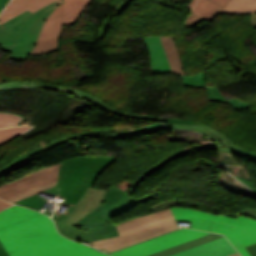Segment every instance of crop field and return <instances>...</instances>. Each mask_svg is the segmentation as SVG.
<instances>
[{
  "label": "crop field",
  "mask_w": 256,
  "mask_h": 256,
  "mask_svg": "<svg viewBox=\"0 0 256 256\" xmlns=\"http://www.w3.org/2000/svg\"><path fill=\"white\" fill-rule=\"evenodd\" d=\"M164 128H165V126H163L162 124L156 123V124H150L145 127L138 128V129H134V130H130V131H123V132H116V133L124 134V135H136V134H145V133H149V132L164 129Z\"/></svg>",
  "instance_id": "d3111659"
},
{
  "label": "crop field",
  "mask_w": 256,
  "mask_h": 256,
  "mask_svg": "<svg viewBox=\"0 0 256 256\" xmlns=\"http://www.w3.org/2000/svg\"><path fill=\"white\" fill-rule=\"evenodd\" d=\"M208 233L210 232L183 228L173 233L115 252L110 255L112 256H146L151 253L206 235Z\"/></svg>",
  "instance_id": "d8731c3e"
},
{
  "label": "crop field",
  "mask_w": 256,
  "mask_h": 256,
  "mask_svg": "<svg viewBox=\"0 0 256 256\" xmlns=\"http://www.w3.org/2000/svg\"><path fill=\"white\" fill-rule=\"evenodd\" d=\"M222 9L223 8L218 5L206 18L200 16L199 14H197L196 12H194L192 10L187 19L186 25L193 27V26L199 24L204 19L211 21L218 13L221 12Z\"/></svg>",
  "instance_id": "eef30255"
},
{
  "label": "crop field",
  "mask_w": 256,
  "mask_h": 256,
  "mask_svg": "<svg viewBox=\"0 0 256 256\" xmlns=\"http://www.w3.org/2000/svg\"><path fill=\"white\" fill-rule=\"evenodd\" d=\"M9 0H0V11L6 6Z\"/></svg>",
  "instance_id": "b80d0937"
},
{
  "label": "crop field",
  "mask_w": 256,
  "mask_h": 256,
  "mask_svg": "<svg viewBox=\"0 0 256 256\" xmlns=\"http://www.w3.org/2000/svg\"><path fill=\"white\" fill-rule=\"evenodd\" d=\"M11 1H14V0H11ZM11 1H10V2H11Z\"/></svg>",
  "instance_id": "5d738f31"
},
{
  "label": "crop field",
  "mask_w": 256,
  "mask_h": 256,
  "mask_svg": "<svg viewBox=\"0 0 256 256\" xmlns=\"http://www.w3.org/2000/svg\"><path fill=\"white\" fill-rule=\"evenodd\" d=\"M240 153L243 155V157L256 161V153L255 152H251V151H248V150L242 148Z\"/></svg>",
  "instance_id": "120bbe31"
},
{
  "label": "crop field",
  "mask_w": 256,
  "mask_h": 256,
  "mask_svg": "<svg viewBox=\"0 0 256 256\" xmlns=\"http://www.w3.org/2000/svg\"><path fill=\"white\" fill-rule=\"evenodd\" d=\"M195 1H196V0H192V2L188 5V7H187V8L192 9V7H193V6H194V4H195Z\"/></svg>",
  "instance_id": "03da06ac"
},
{
  "label": "crop field",
  "mask_w": 256,
  "mask_h": 256,
  "mask_svg": "<svg viewBox=\"0 0 256 256\" xmlns=\"http://www.w3.org/2000/svg\"><path fill=\"white\" fill-rule=\"evenodd\" d=\"M105 192L106 190L88 188L79 203L77 205L71 204L67 210L66 214L71 216L68 224L73 226L80 218L85 217L93 209L101 206Z\"/></svg>",
  "instance_id": "cbeb9de0"
},
{
  "label": "crop field",
  "mask_w": 256,
  "mask_h": 256,
  "mask_svg": "<svg viewBox=\"0 0 256 256\" xmlns=\"http://www.w3.org/2000/svg\"><path fill=\"white\" fill-rule=\"evenodd\" d=\"M120 236L91 242L106 253L177 230L170 208L138 216L116 225Z\"/></svg>",
  "instance_id": "ac0d7876"
},
{
  "label": "crop field",
  "mask_w": 256,
  "mask_h": 256,
  "mask_svg": "<svg viewBox=\"0 0 256 256\" xmlns=\"http://www.w3.org/2000/svg\"><path fill=\"white\" fill-rule=\"evenodd\" d=\"M171 209L175 220L192 221L193 229L225 234L242 256H251L244 247L256 243L255 219L240 215L233 219L178 207Z\"/></svg>",
  "instance_id": "8a807250"
},
{
  "label": "crop field",
  "mask_w": 256,
  "mask_h": 256,
  "mask_svg": "<svg viewBox=\"0 0 256 256\" xmlns=\"http://www.w3.org/2000/svg\"><path fill=\"white\" fill-rule=\"evenodd\" d=\"M160 38L167 53L172 73L185 75L174 39H171V36H160Z\"/></svg>",
  "instance_id": "bc2a9ffb"
},
{
  "label": "crop field",
  "mask_w": 256,
  "mask_h": 256,
  "mask_svg": "<svg viewBox=\"0 0 256 256\" xmlns=\"http://www.w3.org/2000/svg\"><path fill=\"white\" fill-rule=\"evenodd\" d=\"M65 142L66 141H65L64 137L61 138V139H58V140L50 141V142L47 141L43 145H40V146L34 148L31 151L21 154L16 159H14L12 162H10L9 164L5 165L4 167H2L0 169V176L8 173L9 169L15 167L16 165L21 163L23 160H25V159H27V158H29V157L37 154V153L44 152V151H46L48 149H51V148H53V147H55L57 145L63 144Z\"/></svg>",
  "instance_id": "214f88e0"
},
{
  "label": "crop field",
  "mask_w": 256,
  "mask_h": 256,
  "mask_svg": "<svg viewBox=\"0 0 256 256\" xmlns=\"http://www.w3.org/2000/svg\"><path fill=\"white\" fill-rule=\"evenodd\" d=\"M43 192L56 195V186L51 189L45 190ZM40 193H37L31 197L22 199L20 201L14 202V203L22 205V206H27L29 208L37 209L40 211L41 207L44 205V203L47 200V199H44L43 197L39 196Z\"/></svg>",
  "instance_id": "a9b5d70f"
},
{
  "label": "crop field",
  "mask_w": 256,
  "mask_h": 256,
  "mask_svg": "<svg viewBox=\"0 0 256 256\" xmlns=\"http://www.w3.org/2000/svg\"><path fill=\"white\" fill-rule=\"evenodd\" d=\"M217 4H219L220 6H222L223 8L225 7V5L228 3L229 0H211Z\"/></svg>",
  "instance_id": "e1f06a70"
},
{
  "label": "crop field",
  "mask_w": 256,
  "mask_h": 256,
  "mask_svg": "<svg viewBox=\"0 0 256 256\" xmlns=\"http://www.w3.org/2000/svg\"><path fill=\"white\" fill-rule=\"evenodd\" d=\"M216 6L217 4L209 0H198L193 10L206 17Z\"/></svg>",
  "instance_id": "750c4746"
},
{
  "label": "crop field",
  "mask_w": 256,
  "mask_h": 256,
  "mask_svg": "<svg viewBox=\"0 0 256 256\" xmlns=\"http://www.w3.org/2000/svg\"><path fill=\"white\" fill-rule=\"evenodd\" d=\"M162 122L168 128L193 130L209 137L212 140V144L203 148H199V150L218 149L226 153H234L236 155L242 156L239 153L241 147L234 145L226 136L219 133L220 131L218 132L217 130L212 129L206 125L194 121L176 120L170 118H162ZM219 138H221L222 142H224L227 147H222V145L218 142Z\"/></svg>",
  "instance_id": "3316defc"
},
{
  "label": "crop field",
  "mask_w": 256,
  "mask_h": 256,
  "mask_svg": "<svg viewBox=\"0 0 256 256\" xmlns=\"http://www.w3.org/2000/svg\"><path fill=\"white\" fill-rule=\"evenodd\" d=\"M0 256H9L4 247L0 248Z\"/></svg>",
  "instance_id": "c035e120"
},
{
  "label": "crop field",
  "mask_w": 256,
  "mask_h": 256,
  "mask_svg": "<svg viewBox=\"0 0 256 256\" xmlns=\"http://www.w3.org/2000/svg\"><path fill=\"white\" fill-rule=\"evenodd\" d=\"M240 256L225 237L173 256Z\"/></svg>",
  "instance_id": "5142ce71"
},
{
  "label": "crop field",
  "mask_w": 256,
  "mask_h": 256,
  "mask_svg": "<svg viewBox=\"0 0 256 256\" xmlns=\"http://www.w3.org/2000/svg\"><path fill=\"white\" fill-rule=\"evenodd\" d=\"M252 256H256V244L246 247Z\"/></svg>",
  "instance_id": "5866460e"
},
{
  "label": "crop field",
  "mask_w": 256,
  "mask_h": 256,
  "mask_svg": "<svg viewBox=\"0 0 256 256\" xmlns=\"http://www.w3.org/2000/svg\"><path fill=\"white\" fill-rule=\"evenodd\" d=\"M118 157H75L62 161L57 183V195L65 202L77 204L94 180Z\"/></svg>",
  "instance_id": "412701ff"
},
{
  "label": "crop field",
  "mask_w": 256,
  "mask_h": 256,
  "mask_svg": "<svg viewBox=\"0 0 256 256\" xmlns=\"http://www.w3.org/2000/svg\"><path fill=\"white\" fill-rule=\"evenodd\" d=\"M241 213L246 214V215H250V216H253V217H256V210H254V209H245Z\"/></svg>",
  "instance_id": "028f5c9d"
},
{
  "label": "crop field",
  "mask_w": 256,
  "mask_h": 256,
  "mask_svg": "<svg viewBox=\"0 0 256 256\" xmlns=\"http://www.w3.org/2000/svg\"><path fill=\"white\" fill-rule=\"evenodd\" d=\"M14 87H32V88L60 91V92H63V93L69 94V95H73V96L85 99L86 101L96 104L99 107H102L118 116L128 117V118H137V119H146L149 121H161V118H158V117H153V116H149V115L124 113V112L117 111V110L113 109L111 106L105 104L102 100H100L92 95H89L83 91H80L78 89H70V88H65V87L56 86V85H49V84H42V83H30V82H11V83H6V84L0 85V89L14 88Z\"/></svg>",
  "instance_id": "d1516ede"
},
{
  "label": "crop field",
  "mask_w": 256,
  "mask_h": 256,
  "mask_svg": "<svg viewBox=\"0 0 256 256\" xmlns=\"http://www.w3.org/2000/svg\"><path fill=\"white\" fill-rule=\"evenodd\" d=\"M53 1L55 0H16L6 6L0 16V24L27 10L34 13Z\"/></svg>",
  "instance_id": "4a817a6b"
},
{
  "label": "crop field",
  "mask_w": 256,
  "mask_h": 256,
  "mask_svg": "<svg viewBox=\"0 0 256 256\" xmlns=\"http://www.w3.org/2000/svg\"><path fill=\"white\" fill-rule=\"evenodd\" d=\"M0 247H2V244H1V242H0Z\"/></svg>",
  "instance_id": "b54c1fbb"
},
{
  "label": "crop field",
  "mask_w": 256,
  "mask_h": 256,
  "mask_svg": "<svg viewBox=\"0 0 256 256\" xmlns=\"http://www.w3.org/2000/svg\"><path fill=\"white\" fill-rule=\"evenodd\" d=\"M143 39L150 55L152 75L171 73L159 36L143 37Z\"/></svg>",
  "instance_id": "d9b57169"
},
{
  "label": "crop field",
  "mask_w": 256,
  "mask_h": 256,
  "mask_svg": "<svg viewBox=\"0 0 256 256\" xmlns=\"http://www.w3.org/2000/svg\"><path fill=\"white\" fill-rule=\"evenodd\" d=\"M30 234H58L53 222L34 210L12 206L0 212V241Z\"/></svg>",
  "instance_id": "dd49c442"
},
{
  "label": "crop field",
  "mask_w": 256,
  "mask_h": 256,
  "mask_svg": "<svg viewBox=\"0 0 256 256\" xmlns=\"http://www.w3.org/2000/svg\"><path fill=\"white\" fill-rule=\"evenodd\" d=\"M24 117L14 113L0 111V127L16 126L22 122Z\"/></svg>",
  "instance_id": "ae1a2a85"
},
{
  "label": "crop field",
  "mask_w": 256,
  "mask_h": 256,
  "mask_svg": "<svg viewBox=\"0 0 256 256\" xmlns=\"http://www.w3.org/2000/svg\"><path fill=\"white\" fill-rule=\"evenodd\" d=\"M185 86L207 88L210 100L230 103L235 110H241L250 107L249 103L236 99L226 100L222 93L216 87L206 86L204 72L182 77Z\"/></svg>",
  "instance_id": "733c2abd"
},
{
  "label": "crop field",
  "mask_w": 256,
  "mask_h": 256,
  "mask_svg": "<svg viewBox=\"0 0 256 256\" xmlns=\"http://www.w3.org/2000/svg\"><path fill=\"white\" fill-rule=\"evenodd\" d=\"M2 243L10 256H108L59 235H31Z\"/></svg>",
  "instance_id": "f4fd0767"
},
{
  "label": "crop field",
  "mask_w": 256,
  "mask_h": 256,
  "mask_svg": "<svg viewBox=\"0 0 256 256\" xmlns=\"http://www.w3.org/2000/svg\"><path fill=\"white\" fill-rule=\"evenodd\" d=\"M182 154H187L184 150H179L171 155H169L168 157H166L165 159H163L161 162H159L157 165L151 167L150 169H148L147 171H145L137 180H135L132 184V189H135V187L138 185V183L145 178L146 176H148L150 173L160 169L161 167H163L165 164H167L169 161H171L172 159H174L177 156H180Z\"/></svg>",
  "instance_id": "730fd06b"
},
{
  "label": "crop field",
  "mask_w": 256,
  "mask_h": 256,
  "mask_svg": "<svg viewBox=\"0 0 256 256\" xmlns=\"http://www.w3.org/2000/svg\"><path fill=\"white\" fill-rule=\"evenodd\" d=\"M256 13V0H230L220 14Z\"/></svg>",
  "instance_id": "00972430"
},
{
  "label": "crop field",
  "mask_w": 256,
  "mask_h": 256,
  "mask_svg": "<svg viewBox=\"0 0 256 256\" xmlns=\"http://www.w3.org/2000/svg\"><path fill=\"white\" fill-rule=\"evenodd\" d=\"M59 164L30 173L18 180L0 186V197L8 200L38 186L56 180Z\"/></svg>",
  "instance_id": "5a996713"
},
{
  "label": "crop field",
  "mask_w": 256,
  "mask_h": 256,
  "mask_svg": "<svg viewBox=\"0 0 256 256\" xmlns=\"http://www.w3.org/2000/svg\"><path fill=\"white\" fill-rule=\"evenodd\" d=\"M10 205H12V204H9V203H6V202L0 200V210L4 209Z\"/></svg>",
  "instance_id": "0bd39190"
},
{
  "label": "crop field",
  "mask_w": 256,
  "mask_h": 256,
  "mask_svg": "<svg viewBox=\"0 0 256 256\" xmlns=\"http://www.w3.org/2000/svg\"><path fill=\"white\" fill-rule=\"evenodd\" d=\"M56 182H57V180L54 181V182L48 183V184H46V185H43V186H41V187H39V188H37V189H35V190H33V191H30V192H28V193H25V194H23V195L14 197V198H12V199H10V200H8V201L14 202V201L20 200V199H22V198L31 196V195H33V194H35V193H37V192H40V191H43V190H45V189H48V188H51V187L55 186V185H56Z\"/></svg>",
  "instance_id": "bd1437ed"
},
{
  "label": "crop field",
  "mask_w": 256,
  "mask_h": 256,
  "mask_svg": "<svg viewBox=\"0 0 256 256\" xmlns=\"http://www.w3.org/2000/svg\"><path fill=\"white\" fill-rule=\"evenodd\" d=\"M234 177H236L238 180H240L241 182H243L244 184L249 186L256 193V187L251 182H249L243 178H239L238 176H234Z\"/></svg>",
  "instance_id": "d32e631a"
},
{
  "label": "crop field",
  "mask_w": 256,
  "mask_h": 256,
  "mask_svg": "<svg viewBox=\"0 0 256 256\" xmlns=\"http://www.w3.org/2000/svg\"><path fill=\"white\" fill-rule=\"evenodd\" d=\"M52 218L54 219V221H57L56 226L62 235L77 241H85L89 243V241L104 239L118 235L115 229V225L100 228L83 227L81 230H79L67 225L69 216L63 213L55 211Z\"/></svg>",
  "instance_id": "22f410ed"
},
{
  "label": "crop field",
  "mask_w": 256,
  "mask_h": 256,
  "mask_svg": "<svg viewBox=\"0 0 256 256\" xmlns=\"http://www.w3.org/2000/svg\"><path fill=\"white\" fill-rule=\"evenodd\" d=\"M115 13H116V12L113 11L112 13H110V14L104 19V21L102 22V24H101L100 27H99L97 38H101V39H104V38H105L106 33H107V29H108V26H109L110 19L112 18V16H113Z\"/></svg>",
  "instance_id": "1d83c4d3"
},
{
  "label": "crop field",
  "mask_w": 256,
  "mask_h": 256,
  "mask_svg": "<svg viewBox=\"0 0 256 256\" xmlns=\"http://www.w3.org/2000/svg\"><path fill=\"white\" fill-rule=\"evenodd\" d=\"M128 2V0L123 1L114 11H118L123 5H125Z\"/></svg>",
  "instance_id": "c21b1889"
},
{
  "label": "crop field",
  "mask_w": 256,
  "mask_h": 256,
  "mask_svg": "<svg viewBox=\"0 0 256 256\" xmlns=\"http://www.w3.org/2000/svg\"><path fill=\"white\" fill-rule=\"evenodd\" d=\"M103 201H106L105 205L102 204L101 207L79 220L77 224L87 227H100L113 224L110 218L126 212L129 208L139 203L138 200L132 198L128 193H124L113 186L107 189Z\"/></svg>",
  "instance_id": "e52e79f7"
},
{
  "label": "crop field",
  "mask_w": 256,
  "mask_h": 256,
  "mask_svg": "<svg viewBox=\"0 0 256 256\" xmlns=\"http://www.w3.org/2000/svg\"><path fill=\"white\" fill-rule=\"evenodd\" d=\"M219 237H223V235H218V234L211 233V234H208L206 236H203V237L194 239L192 241L174 246L172 248L154 253V254L149 255V256H170V255L176 254L178 252H181V251L193 248L195 246L201 245L203 243H206L208 241H211V240L219 238Z\"/></svg>",
  "instance_id": "92a150f3"
},
{
  "label": "crop field",
  "mask_w": 256,
  "mask_h": 256,
  "mask_svg": "<svg viewBox=\"0 0 256 256\" xmlns=\"http://www.w3.org/2000/svg\"><path fill=\"white\" fill-rule=\"evenodd\" d=\"M64 3L46 20L35 49L30 55L59 51V37L63 28Z\"/></svg>",
  "instance_id": "28ad6ade"
},
{
  "label": "crop field",
  "mask_w": 256,
  "mask_h": 256,
  "mask_svg": "<svg viewBox=\"0 0 256 256\" xmlns=\"http://www.w3.org/2000/svg\"><path fill=\"white\" fill-rule=\"evenodd\" d=\"M90 2L91 0H65L64 25L75 24L81 12Z\"/></svg>",
  "instance_id": "dafd665d"
},
{
  "label": "crop field",
  "mask_w": 256,
  "mask_h": 256,
  "mask_svg": "<svg viewBox=\"0 0 256 256\" xmlns=\"http://www.w3.org/2000/svg\"><path fill=\"white\" fill-rule=\"evenodd\" d=\"M33 127H11L0 129V146L4 143L20 136L24 132L30 130Z\"/></svg>",
  "instance_id": "4177f3b9"
},
{
  "label": "crop field",
  "mask_w": 256,
  "mask_h": 256,
  "mask_svg": "<svg viewBox=\"0 0 256 256\" xmlns=\"http://www.w3.org/2000/svg\"><path fill=\"white\" fill-rule=\"evenodd\" d=\"M63 2L58 0L33 15L24 12L0 25V46L12 52L8 57L26 59L37 42L44 21Z\"/></svg>",
  "instance_id": "34b2d1b8"
}]
</instances>
